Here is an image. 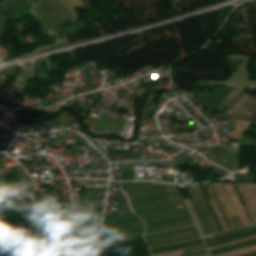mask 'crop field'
<instances>
[{
    "instance_id": "1",
    "label": "crop field",
    "mask_w": 256,
    "mask_h": 256,
    "mask_svg": "<svg viewBox=\"0 0 256 256\" xmlns=\"http://www.w3.org/2000/svg\"><path fill=\"white\" fill-rule=\"evenodd\" d=\"M256 98H251L240 92L238 97L227 107L224 116H242V114L251 106Z\"/></svg>"
},
{
    "instance_id": "2",
    "label": "crop field",
    "mask_w": 256,
    "mask_h": 256,
    "mask_svg": "<svg viewBox=\"0 0 256 256\" xmlns=\"http://www.w3.org/2000/svg\"><path fill=\"white\" fill-rule=\"evenodd\" d=\"M62 22L70 19V15L58 0H41Z\"/></svg>"
},
{
    "instance_id": "3",
    "label": "crop field",
    "mask_w": 256,
    "mask_h": 256,
    "mask_svg": "<svg viewBox=\"0 0 256 256\" xmlns=\"http://www.w3.org/2000/svg\"><path fill=\"white\" fill-rule=\"evenodd\" d=\"M36 7L47 17L51 24L58 30L62 28V23L59 19L47 8L45 7L40 0L35 3Z\"/></svg>"
},
{
    "instance_id": "4",
    "label": "crop field",
    "mask_w": 256,
    "mask_h": 256,
    "mask_svg": "<svg viewBox=\"0 0 256 256\" xmlns=\"http://www.w3.org/2000/svg\"><path fill=\"white\" fill-rule=\"evenodd\" d=\"M35 10L36 12L45 20V22L47 23V25L49 26V28L51 29V31L53 32L55 39H56V42H59L61 41L59 35H58V32L57 30L49 23V21L45 18V16L33 5V3L30 1V0H26Z\"/></svg>"
},
{
    "instance_id": "5",
    "label": "crop field",
    "mask_w": 256,
    "mask_h": 256,
    "mask_svg": "<svg viewBox=\"0 0 256 256\" xmlns=\"http://www.w3.org/2000/svg\"><path fill=\"white\" fill-rule=\"evenodd\" d=\"M238 91L233 90L231 94L221 103L218 110L222 111L238 95Z\"/></svg>"
},
{
    "instance_id": "6",
    "label": "crop field",
    "mask_w": 256,
    "mask_h": 256,
    "mask_svg": "<svg viewBox=\"0 0 256 256\" xmlns=\"http://www.w3.org/2000/svg\"><path fill=\"white\" fill-rule=\"evenodd\" d=\"M223 113L212 115L219 123L225 122L227 120H243L246 121L247 118H239V117H228V118H222Z\"/></svg>"
},
{
    "instance_id": "7",
    "label": "crop field",
    "mask_w": 256,
    "mask_h": 256,
    "mask_svg": "<svg viewBox=\"0 0 256 256\" xmlns=\"http://www.w3.org/2000/svg\"><path fill=\"white\" fill-rule=\"evenodd\" d=\"M29 10L41 21V23L44 25L49 36L53 35L50 29L48 28V26L46 25V23L43 21V19L32 8Z\"/></svg>"
},
{
    "instance_id": "8",
    "label": "crop field",
    "mask_w": 256,
    "mask_h": 256,
    "mask_svg": "<svg viewBox=\"0 0 256 256\" xmlns=\"http://www.w3.org/2000/svg\"><path fill=\"white\" fill-rule=\"evenodd\" d=\"M16 71V66L10 67V68H5L0 70V74H11L14 75Z\"/></svg>"
},
{
    "instance_id": "9",
    "label": "crop field",
    "mask_w": 256,
    "mask_h": 256,
    "mask_svg": "<svg viewBox=\"0 0 256 256\" xmlns=\"http://www.w3.org/2000/svg\"><path fill=\"white\" fill-rule=\"evenodd\" d=\"M256 111V101L252 104V106L243 114V116L249 117Z\"/></svg>"
},
{
    "instance_id": "10",
    "label": "crop field",
    "mask_w": 256,
    "mask_h": 256,
    "mask_svg": "<svg viewBox=\"0 0 256 256\" xmlns=\"http://www.w3.org/2000/svg\"><path fill=\"white\" fill-rule=\"evenodd\" d=\"M0 9L3 10V11L6 13L8 19H12V18H13V16H12L11 13L9 12V10L7 9L5 3L0 6Z\"/></svg>"
},
{
    "instance_id": "11",
    "label": "crop field",
    "mask_w": 256,
    "mask_h": 256,
    "mask_svg": "<svg viewBox=\"0 0 256 256\" xmlns=\"http://www.w3.org/2000/svg\"><path fill=\"white\" fill-rule=\"evenodd\" d=\"M7 82V78L4 75H0V87L4 86Z\"/></svg>"
},
{
    "instance_id": "12",
    "label": "crop field",
    "mask_w": 256,
    "mask_h": 256,
    "mask_svg": "<svg viewBox=\"0 0 256 256\" xmlns=\"http://www.w3.org/2000/svg\"><path fill=\"white\" fill-rule=\"evenodd\" d=\"M0 29H1V31H2L4 34H6L5 27H4V24H3L2 20H1V18H0Z\"/></svg>"
},
{
    "instance_id": "13",
    "label": "crop field",
    "mask_w": 256,
    "mask_h": 256,
    "mask_svg": "<svg viewBox=\"0 0 256 256\" xmlns=\"http://www.w3.org/2000/svg\"><path fill=\"white\" fill-rule=\"evenodd\" d=\"M0 17L2 18L3 22L7 19L1 10H0Z\"/></svg>"
},
{
    "instance_id": "14",
    "label": "crop field",
    "mask_w": 256,
    "mask_h": 256,
    "mask_svg": "<svg viewBox=\"0 0 256 256\" xmlns=\"http://www.w3.org/2000/svg\"><path fill=\"white\" fill-rule=\"evenodd\" d=\"M37 72V62H34V69H33V74Z\"/></svg>"
},
{
    "instance_id": "15",
    "label": "crop field",
    "mask_w": 256,
    "mask_h": 256,
    "mask_svg": "<svg viewBox=\"0 0 256 256\" xmlns=\"http://www.w3.org/2000/svg\"><path fill=\"white\" fill-rule=\"evenodd\" d=\"M86 2H87V5L91 4L90 0H86Z\"/></svg>"
},
{
    "instance_id": "16",
    "label": "crop field",
    "mask_w": 256,
    "mask_h": 256,
    "mask_svg": "<svg viewBox=\"0 0 256 256\" xmlns=\"http://www.w3.org/2000/svg\"><path fill=\"white\" fill-rule=\"evenodd\" d=\"M1 37H4V35H3V33L0 31V38H1Z\"/></svg>"
},
{
    "instance_id": "17",
    "label": "crop field",
    "mask_w": 256,
    "mask_h": 256,
    "mask_svg": "<svg viewBox=\"0 0 256 256\" xmlns=\"http://www.w3.org/2000/svg\"><path fill=\"white\" fill-rule=\"evenodd\" d=\"M2 3H4V1H3V0H0V4H2Z\"/></svg>"
},
{
    "instance_id": "18",
    "label": "crop field",
    "mask_w": 256,
    "mask_h": 256,
    "mask_svg": "<svg viewBox=\"0 0 256 256\" xmlns=\"http://www.w3.org/2000/svg\"><path fill=\"white\" fill-rule=\"evenodd\" d=\"M0 59H1V57H0Z\"/></svg>"
},
{
    "instance_id": "19",
    "label": "crop field",
    "mask_w": 256,
    "mask_h": 256,
    "mask_svg": "<svg viewBox=\"0 0 256 256\" xmlns=\"http://www.w3.org/2000/svg\"><path fill=\"white\" fill-rule=\"evenodd\" d=\"M5 1H7V0H5Z\"/></svg>"
}]
</instances>
